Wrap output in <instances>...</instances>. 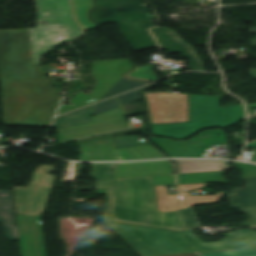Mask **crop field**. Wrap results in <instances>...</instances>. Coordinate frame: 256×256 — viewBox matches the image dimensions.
I'll return each instance as SVG.
<instances>
[{"label":"crop field","instance_id":"obj_1","mask_svg":"<svg viewBox=\"0 0 256 256\" xmlns=\"http://www.w3.org/2000/svg\"><path fill=\"white\" fill-rule=\"evenodd\" d=\"M0 79L2 94L25 97L13 125H50L60 98L40 64H32L28 29L0 31Z\"/></svg>","mask_w":256,"mask_h":256},{"label":"crop field","instance_id":"obj_2","mask_svg":"<svg viewBox=\"0 0 256 256\" xmlns=\"http://www.w3.org/2000/svg\"><path fill=\"white\" fill-rule=\"evenodd\" d=\"M92 178L107 189L105 220L186 230L178 211L158 208L155 186L176 184L174 175L118 180L117 163H92Z\"/></svg>","mask_w":256,"mask_h":256},{"label":"crop field","instance_id":"obj_3","mask_svg":"<svg viewBox=\"0 0 256 256\" xmlns=\"http://www.w3.org/2000/svg\"><path fill=\"white\" fill-rule=\"evenodd\" d=\"M143 256H164L256 248V232L238 230L217 242L204 243L191 230L175 231L107 221Z\"/></svg>","mask_w":256,"mask_h":256},{"label":"crop field","instance_id":"obj_4","mask_svg":"<svg viewBox=\"0 0 256 256\" xmlns=\"http://www.w3.org/2000/svg\"><path fill=\"white\" fill-rule=\"evenodd\" d=\"M37 28L29 29L33 63L56 46L82 34L72 19L68 0H35ZM48 24H44L43 22Z\"/></svg>","mask_w":256,"mask_h":256},{"label":"crop field","instance_id":"obj_5","mask_svg":"<svg viewBox=\"0 0 256 256\" xmlns=\"http://www.w3.org/2000/svg\"><path fill=\"white\" fill-rule=\"evenodd\" d=\"M245 118L242 104L223 108L219 96L190 94V122L150 125L153 134L183 139L205 127H226Z\"/></svg>","mask_w":256,"mask_h":256},{"label":"crop field","instance_id":"obj_6","mask_svg":"<svg viewBox=\"0 0 256 256\" xmlns=\"http://www.w3.org/2000/svg\"><path fill=\"white\" fill-rule=\"evenodd\" d=\"M92 76L97 80V84L92 93L85 95L79 92L70 102L73 106L62 104L57 115L75 110L77 108L92 104L100 100L111 87L123 76L122 74L133 66L128 60L94 62Z\"/></svg>","mask_w":256,"mask_h":256},{"label":"crop field","instance_id":"obj_7","mask_svg":"<svg viewBox=\"0 0 256 256\" xmlns=\"http://www.w3.org/2000/svg\"><path fill=\"white\" fill-rule=\"evenodd\" d=\"M80 161L148 160L166 158L150 145L115 149L114 139L81 144Z\"/></svg>","mask_w":256,"mask_h":256},{"label":"crop field","instance_id":"obj_8","mask_svg":"<svg viewBox=\"0 0 256 256\" xmlns=\"http://www.w3.org/2000/svg\"><path fill=\"white\" fill-rule=\"evenodd\" d=\"M53 171H56L55 166L45 165L44 175L35 174L29 188H13L17 214H43L56 178L47 172ZM46 189L49 191L46 192Z\"/></svg>","mask_w":256,"mask_h":256},{"label":"crop field","instance_id":"obj_9","mask_svg":"<svg viewBox=\"0 0 256 256\" xmlns=\"http://www.w3.org/2000/svg\"><path fill=\"white\" fill-rule=\"evenodd\" d=\"M148 138L170 157L204 158L205 152L211 149V145L228 144L224 131L219 129L204 131L188 141Z\"/></svg>","mask_w":256,"mask_h":256},{"label":"crop field","instance_id":"obj_10","mask_svg":"<svg viewBox=\"0 0 256 256\" xmlns=\"http://www.w3.org/2000/svg\"><path fill=\"white\" fill-rule=\"evenodd\" d=\"M146 97L151 123L188 121V95L170 92L143 93Z\"/></svg>","mask_w":256,"mask_h":256},{"label":"crop field","instance_id":"obj_11","mask_svg":"<svg viewBox=\"0 0 256 256\" xmlns=\"http://www.w3.org/2000/svg\"><path fill=\"white\" fill-rule=\"evenodd\" d=\"M98 6L91 13L97 23L149 19L146 5L140 0H97Z\"/></svg>","mask_w":256,"mask_h":256},{"label":"crop field","instance_id":"obj_12","mask_svg":"<svg viewBox=\"0 0 256 256\" xmlns=\"http://www.w3.org/2000/svg\"><path fill=\"white\" fill-rule=\"evenodd\" d=\"M128 128L121 108L94 116L92 122L57 130L60 142Z\"/></svg>","mask_w":256,"mask_h":256},{"label":"crop field","instance_id":"obj_13","mask_svg":"<svg viewBox=\"0 0 256 256\" xmlns=\"http://www.w3.org/2000/svg\"><path fill=\"white\" fill-rule=\"evenodd\" d=\"M161 47L169 52H182V56L190 60L191 70L205 71L195 50L183 42L176 32L164 27L151 29Z\"/></svg>","mask_w":256,"mask_h":256},{"label":"crop field","instance_id":"obj_14","mask_svg":"<svg viewBox=\"0 0 256 256\" xmlns=\"http://www.w3.org/2000/svg\"><path fill=\"white\" fill-rule=\"evenodd\" d=\"M247 185L239 189H232L229 200L232 207H240L250 219L242 226L256 228V177L241 179Z\"/></svg>","mask_w":256,"mask_h":256},{"label":"crop field","instance_id":"obj_15","mask_svg":"<svg viewBox=\"0 0 256 256\" xmlns=\"http://www.w3.org/2000/svg\"><path fill=\"white\" fill-rule=\"evenodd\" d=\"M119 179L173 174L169 160L118 163Z\"/></svg>","mask_w":256,"mask_h":256},{"label":"crop field","instance_id":"obj_16","mask_svg":"<svg viewBox=\"0 0 256 256\" xmlns=\"http://www.w3.org/2000/svg\"><path fill=\"white\" fill-rule=\"evenodd\" d=\"M123 34L135 50L156 46L147 28L153 26L150 20L118 23Z\"/></svg>","mask_w":256,"mask_h":256},{"label":"crop field","instance_id":"obj_17","mask_svg":"<svg viewBox=\"0 0 256 256\" xmlns=\"http://www.w3.org/2000/svg\"><path fill=\"white\" fill-rule=\"evenodd\" d=\"M0 223L8 240H18L14 221L12 191L0 190Z\"/></svg>","mask_w":256,"mask_h":256},{"label":"crop field","instance_id":"obj_18","mask_svg":"<svg viewBox=\"0 0 256 256\" xmlns=\"http://www.w3.org/2000/svg\"><path fill=\"white\" fill-rule=\"evenodd\" d=\"M177 166V174L191 172L224 171L232 169L228 161L213 160H173Z\"/></svg>","mask_w":256,"mask_h":256},{"label":"crop field","instance_id":"obj_19","mask_svg":"<svg viewBox=\"0 0 256 256\" xmlns=\"http://www.w3.org/2000/svg\"><path fill=\"white\" fill-rule=\"evenodd\" d=\"M93 107L94 106H91V107L58 117L52 129H59V128L91 121Z\"/></svg>","mask_w":256,"mask_h":256},{"label":"crop field","instance_id":"obj_20","mask_svg":"<svg viewBox=\"0 0 256 256\" xmlns=\"http://www.w3.org/2000/svg\"><path fill=\"white\" fill-rule=\"evenodd\" d=\"M224 172L192 173L177 176L179 184L209 182L227 183L223 177Z\"/></svg>","mask_w":256,"mask_h":256},{"label":"crop field","instance_id":"obj_21","mask_svg":"<svg viewBox=\"0 0 256 256\" xmlns=\"http://www.w3.org/2000/svg\"><path fill=\"white\" fill-rule=\"evenodd\" d=\"M6 124L11 125L16 118L24 98L21 95H2Z\"/></svg>","mask_w":256,"mask_h":256},{"label":"crop field","instance_id":"obj_22","mask_svg":"<svg viewBox=\"0 0 256 256\" xmlns=\"http://www.w3.org/2000/svg\"><path fill=\"white\" fill-rule=\"evenodd\" d=\"M71 2L76 19L84 29L96 26V24L89 21L87 15L88 11L94 6L93 0H71Z\"/></svg>","mask_w":256,"mask_h":256},{"label":"crop field","instance_id":"obj_23","mask_svg":"<svg viewBox=\"0 0 256 256\" xmlns=\"http://www.w3.org/2000/svg\"><path fill=\"white\" fill-rule=\"evenodd\" d=\"M146 84L148 83L133 81L123 76L102 99L144 86Z\"/></svg>","mask_w":256,"mask_h":256},{"label":"crop field","instance_id":"obj_24","mask_svg":"<svg viewBox=\"0 0 256 256\" xmlns=\"http://www.w3.org/2000/svg\"><path fill=\"white\" fill-rule=\"evenodd\" d=\"M225 192H218L211 196H190L186 192L188 208L198 204L215 203L224 196Z\"/></svg>","mask_w":256,"mask_h":256},{"label":"crop field","instance_id":"obj_25","mask_svg":"<svg viewBox=\"0 0 256 256\" xmlns=\"http://www.w3.org/2000/svg\"><path fill=\"white\" fill-rule=\"evenodd\" d=\"M179 212L187 230L201 227L193 207Z\"/></svg>","mask_w":256,"mask_h":256},{"label":"crop field","instance_id":"obj_26","mask_svg":"<svg viewBox=\"0 0 256 256\" xmlns=\"http://www.w3.org/2000/svg\"><path fill=\"white\" fill-rule=\"evenodd\" d=\"M196 256H256V249L202 253L196 254Z\"/></svg>","mask_w":256,"mask_h":256},{"label":"crop field","instance_id":"obj_27","mask_svg":"<svg viewBox=\"0 0 256 256\" xmlns=\"http://www.w3.org/2000/svg\"><path fill=\"white\" fill-rule=\"evenodd\" d=\"M127 76L139 79H145L149 81L157 80L158 78L152 72V66L137 67V69Z\"/></svg>","mask_w":256,"mask_h":256},{"label":"crop field","instance_id":"obj_28","mask_svg":"<svg viewBox=\"0 0 256 256\" xmlns=\"http://www.w3.org/2000/svg\"><path fill=\"white\" fill-rule=\"evenodd\" d=\"M116 148L148 144L146 141L139 142L136 135L115 137Z\"/></svg>","mask_w":256,"mask_h":256},{"label":"crop field","instance_id":"obj_29","mask_svg":"<svg viewBox=\"0 0 256 256\" xmlns=\"http://www.w3.org/2000/svg\"><path fill=\"white\" fill-rule=\"evenodd\" d=\"M159 208L160 211H169L168 196H179V195H167L165 186L156 187Z\"/></svg>","mask_w":256,"mask_h":256},{"label":"crop field","instance_id":"obj_30","mask_svg":"<svg viewBox=\"0 0 256 256\" xmlns=\"http://www.w3.org/2000/svg\"><path fill=\"white\" fill-rule=\"evenodd\" d=\"M170 211L187 208L185 192H180V197H169Z\"/></svg>","mask_w":256,"mask_h":256},{"label":"crop field","instance_id":"obj_31","mask_svg":"<svg viewBox=\"0 0 256 256\" xmlns=\"http://www.w3.org/2000/svg\"><path fill=\"white\" fill-rule=\"evenodd\" d=\"M116 107H119V104L117 103L115 98L102 102L100 104L95 105L93 116Z\"/></svg>","mask_w":256,"mask_h":256},{"label":"crop field","instance_id":"obj_32","mask_svg":"<svg viewBox=\"0 0 256 256\" xmlns=\"http://www.w3.org/2000/svg\"><path fill=\"white\" fill-rule=\"evenodd\" d=\"M233 165L243 172L242 177H255L256 176V165L245 164L241 162H233Z\"/></svg>","mask_w":256,"mask_h":256},{"label":"crop field","instance_id":"obj_33","mask_svg":"<svg viewBox=\"0 0 256 256\" xmlns=\"http://www.w3.org/2000/svg\"><path fill=\"white\" fill-rule=\"evenodd\" d=\"M142 89H144V88H141L139 90H142ZM139 90L134 91V92L129 93V94H126V95H123V96H119L118 98H119L121 104L124 105V104H128V103H131V102H134V101H137V100L141 99V97L138 94Z\"/></svg>","mask_w":256,"mask_h":256},{"label":"crop field","instance_id":"obj_34","mask_svg":"<svg viewBox=\"0 0 256 256\" xmlns=\"http://www.w3.org/2000/svg\"><path fill=\"white\" fill-rule=\"evenodd\" d=\"M204 186L205 184H187V185H179V189L192 191L196 188H204Z\"/></svg>","mask_w":256,"mask_h":256},{"label":"crop field","instance_id":"obj_35","mask_svg":"<svg viewBox=\"0 0 256 256\" xmlns=\"http://www.w3.org/2000/svg\"><path fill=\"white\" fill-rule=\"evenodd\" d=\"M248 161H254V162H256V150H255L254 154L250 155Z\"/></svg>","mask_w":256,"mask_h":256},{"label":"crop field","instance_id":"obj_36","mask_svg":"<svg viewBox=\"0 0 256 256\" xmlns=\"http://www.w3.org/2000/svg\"><path fill=\"white\" fill-rule=\"evenodd\" d=\"M103 138H109V137H103ZM94 139H100V138H89V139H84V140H78L77 143L90 141V140H94Z\"/></svg>","mask_w":256,"mask_h":256},{"label":"crop field","instance_id":"obj_37","mask_svg":"<svg viewBox=\"0 0 256 256\" xmlns=\"http://www.w3.org/2000/svg\"><path fill=\"white\" fill-rule=\"evenodd\" d=\"M251 32H256V28H252ZM253 46H256V39L251 41Z\"/></svg>","mask_w":256,"mask_h":256},{"label":"crop field","instance_id":"obj_38","mask_svg":"<svg viewBox=\"0 0 256 256\" xmlns=\"http://www.w3.org/2000/svg\"><path fill=\"white\" fill-rule=\"evenodd\" d=\"M250 75H251L252 77H256V70H251Z\"/></svg>","mask_w":256,"mask_h":256},{"label":"crop field","instance_id":"obj_39","mask_svg":"<svg viewBox=\"0 0 256 256\" xmlns=\"http://www.w3.org/2000/svg\"><path fill=\"white\" fill-rule=\"evenodd\" d=\"M247 146H254V147H256V142L248 144Z\"/></svg>","mask_w":256,"mask_h":256}]
</instances>
